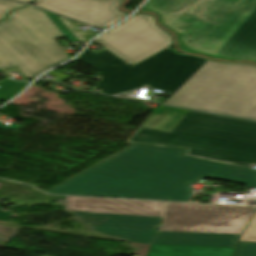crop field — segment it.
I'll list each match as a JSON object with an SVG mask.
<instances>
[{
	"instance_id": "obj_10",
	"label": "crop field",
	"mask_w": 256,
	"mask_h": 256,
	"mask_svg": "<svg viewBox=\"0 0 256 256\" xmlns=\"http://www.w3.org/2000/svg\"><path fill=\"white\" fill-rule=\"evenodd\" d=\"M236 248L151 245L147 256H233Z\"/></svg>"
},
{
	"instance_id": "obj_11",
	"label": "crop field",
	"mask_w": 256,
	"mask_h": 256,
	"mask_svg": "<svg viewBox=\"0 0 256 256\" xmlns=\"http://www.w3.org/2000/svg\"><path fill=\"white\" fill-rule=\"evenodd\" d=\"M186 112V110L158 106L141 126L170 132Z\"/></svg>"
},
{
	"instance_id": "obj_12",
	"label": "crop field",
	"mask_w": 256,
	"mask_h": 256,
	"mask_svg": "<svg viewBox=\"0 0 256 256\" xmlns=\"http://www.w3.org/2000/svg\"><path fill=\"white\" fill-rule=\"evenodd\" d=\"M0 85V101L6 102L20 93L28 84L5 80Z\"/></svg>"
},
{
	"instance_id": "obj_8",
	"label": "crop field",
	"mask_w": 256,
	"mask_h": 256,
	"mask_svg": "<svg viewBox=\"0 0 256 256\" xmlns=\"http://www.w3.org/2000/svg\"><path fill=\"white\" fill-rule=\"evenodd\" d=\"M94 41L131 66L173 44L168 33L156 27L153 17L145 14H136Z\"/></svg>"
},
{
	"instance_id": "obj_18",
	"label": "crop field",
	"mask_w": 256,
	"mask_h": 256,
	"mask_svg": "<svg viewBox=\"0 0 256 256\" xmlns=\"http://www.w3.org/2000/svg\"><path fill=\"white\" fill-rule=\"evenodd\" d=\"M141 10L152 11V10L146 9V8H144V7H143ZM153 12H155V11H153ZM156 13H158V12H156ZM158 14H159L160 21H161L162 25H164L160 13H158ZM164 26H165V25H164ZM166 27H167V26H166ZM168 28H169V27H168ZM170 29H171V28H170ZM173 31H174V30H173ZM174 32L178 34V32H176V31H174ZM178 39H179L180 46H181V48H182L183 50H186V51H189V52H193V53H198V52H194V51L190 50L189 48H187V47L184 45V43L182 42V40H181L179 34H178ZM200 54H202V53H200ZM206 55H207V54H206ZM209 56L214 57V58H222V57H217V56H212V55H209ZM224 59H226V58H224ZM230 60H233V59H230ZM251 61H253V60H251ZM255 62H256V61H255Z\"/></svg>"
},
{
	"instance_id": "obj_15",
	"label": "crop field",
	"mask_w": 256,
	"mask_h": 256,
	"mask_svg": "<svg viewBox=\"0 0 256 256\" xmlns=\"http://www.w3.org/2000/svg\"><path fill=\"white\" fill-rule=\"evenodd\" d=\"M234 256H256V243L239 242Z\"/></svg>"
},
{
	"instance_id": "obj_5",
	"label": "crop field",
	"mask_w": 256,
	"mask_h": 256,
	"mask_svg": "<svg viewBox=\"0 0 256 256\" xmlns=\"http://www.w3.org/2000/svg\"><path fill=\"white\" fill-rule=\"evenodd\" d=\"M63 34L41 9L28 6L0 22V69L18 67L26 78L70 59L53 39Z\"/></svg>"
},
{
	"instance_id": "obj_7",
	"label": "crop field",
	"mask_w": 256,
	"mask_h": 256,
	"mask_svg": "<svg viewBox=\"0 0 256 256\" xmlns=\"http://www.w3.org/2000/svg\"><path fill=\"white\" fill-rule=\"evenodd\" d=\"M165 202L65 197V210L116 216L94 232L130 242L150 244L160 227Z\"/></svg>"
},
{
	"instance_id": "obj_14",
	"label": "crop field",
	"mask_w": 256,
	"mask_h": 256,
	"mask_svg": "<svg viewBox=\"0 0 256 256\" xmlns=\"http://www.w3.org/2000/svg\"><path fill=\"white\" fill-rule=\"evenodd\" d=\"M239 241L256 242V214L243 231Z\"/></svg>"
},
{
	"instance_id": "obj_20",
	"label": "crop field",
	"mask_w": 256,
	"mask_h": 256,
	"mask_svg": "<svg viewBox=\"0 0 256 256\" xmlns=\"http://www.w3.org/2000/svg\"><path fill=\"white\" fill-rule=\"evenodd\" d=\"M19 1H26V2H29L30 0H19Z\"/></svg>"
},
{
	"instance_id": "obj_6",
	"label": "crop field",
	"mask_w": 256,
	"mask_h": 256,
	"mask_svg": "<svg viewBox=\"0 0 256 256\" xmlns=\"http://www.w3.org/2000/svg\"><path fill=\"white\" fill-rule=\"evenodd\" d=\"M256 208L167 202L151 244L234 246Z\"/></svg>"
},
{
	"instance_id": "obj_16",
	"label": "crop field",
	"mask_w": 256,
	"mask_h": 256,
	"mask_svg": "<svg viewBox=\"0 0 256 256\" xmlns=\"http://www.w3.org/2000/svg\"><path fill=\"white\" fill-rule=\"evenodd\" d=\"M46 14L51 18V20L61 30V32L65 35V37L68 39V41L70 43L77 41V39L74 37V35L66 28V26L59 20V18L56 15L49 13V12H46Z\"/></svg>"
},
{
	"instance_id": "obj_9",
	"label": "crop field",
	"mask_w": 256,
	"mask_h": 256,
	"mask_svg": "<svg viewBox=\"0 0 256 256\" xmlns=\"http://www.w3.org/2000/svg\"><path fill=\"white\" fill-rule=\"evenodd\" d=\"M123 0H35L33 4L65 17L107 28L127 14L116 10Z\"/></svg>"
},
{
	"instance_id": "obj_13",
	"label": "crop field",
	"mask_w": 256,
	"mask_h": 256,
	"mask_svg": "<svg viewBox=\"0 0 256 256\" xmlns=\"http://www.w3.org/2000/svg\"><path fill=\"white\" fill-rule=\"evenodd\" d=\"M73 215H75L90 231L95 230L96 228H98L99 226H101L102 224H104L105 222L113 218L110 216H100V215H90V214H73ZM116 240H119V239H116ZM120 241H123V240H120Z\"/></svg>"
},
{
	"instance_id": "obj_17",
	"label": "crop field",
	"mask_w": 256,
	"mask_h": 256,
	"mask_svg": "<svg viewBox=\"0 0 256 256\" xmlns=\"http://www.w3.org/2000/svg\"><path fill=\"white\" fill-rule=\"evenodd\" d=\"M24 4H17L11 2L0 1V20L4 18L5 14L19 6H23Z\"/></svg>"
},
{
	"instance_id": "obj_4",
	"label": "crop field",
	"mask_w": 256,
	"mask_h": 256,
	"mask_svg": "<svg viewBox=\"0 0 256 256\" xmlns=\"http://www.w3.org/2000/svg\"><path fill=\"white\" fill-rule=\"evenodd\" d=\"M128 144L188 149L185 155L220 164H256V122L188 111L170 132L139 127Z\"/></svg>"
},
{
	"instance_id": "obj_1",
	"label": "crop field",
	"mask_w": 256,
	"mask_h": 256,
	"mask_svg": "<svg viewBox=\"0 0 256 256\" xmlns=\"http://www.w3.org/2000/svg\"><path fill=\"white\" fill-rule=\"evenodd\" d=\"M98 72L95 89L114 95L148 84L169 91L163 104L256 119V66L213 62L170 47L129 66L107 49L77 57Z\"/></svg>"
},
{
	"instance_id": "obj_2",
	"label": "crop field",
	"mask_w": 256,
	"mask_h": 256,
	"mask_svg": "<svg viewBox=\"0 0 256 256\" xmlns=\"http://www.w3.org/2000/svg\"><path fill=\"white\" fill-rule=\"evenodd\" d=\"M185 152L132 145L46 193L188 201L189 184L206 177L256 188V171L183 156Z\"/></svg>"
},
{
	"instance_id": "obj_19",
	"label": "crop field",
	"mask_w": 256,
	"mask_h": 256,
	"mask_svg": "<svg viewBox=\"0 0 256 256\" xmlns=\"http://www.w3.org/2000/svg\"><path fill=\"white\" fill-rule=\"evenodd\" d=\"M8 215V212L0 211V220H6L8 218Z\"/></svg>"
},
{
	"instance_id": "obj_3",
	"label": "crop field",
	"mask_w": 256,
	"mask_h": 256,
	"mask_svg": "<svg viewBox=\"0 0 256 256\" xmlns=\"http://www.w3.org/2000/svg\"><path fill=\"white\" fill-rule=\"evenodd\" d=\"M145 7L194 51L256 60V0H151Z\"/></svg>"
},
{
	"instance_id": "obj_21",
	"label": "crop field",
	"mask_w": 256,
	"mask_h": 256,
	"mask_svg": "<svg viewBox=\"0 0 256 256\" xmlns=\"http://www.w3.org/2000/svg\"><path fill=\"white\" fill-rule=\"evenodd\" d=\"M1 71V70H0Z\"/></svg>"
}]
</instances>
